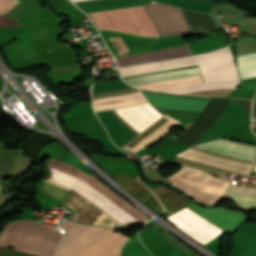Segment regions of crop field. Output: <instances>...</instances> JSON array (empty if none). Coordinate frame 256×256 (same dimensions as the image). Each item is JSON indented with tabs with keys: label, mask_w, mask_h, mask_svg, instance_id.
Here are the masks:
<instances>
[{
	"label": "crop field",
	"mask_w": 256,
	"mask_h": 256,
	"mask_svg": "<svg viewBox=\"0 0 256 256\" xmlns=\"http://www.w3.org/2000/svg\"><path fill=\"white\" fill-rule=\"evenodd\" d=\"M48 169L50 176L45 181L69 191L77 169L71 165L52 159L48 162ZM47 182H43L38 189L68 206L74 214L72 221L77 223L114 227H118L117 225H119L122 227L131 222L145 221L148 219L147 216L111 192L112 190L107 189L108 187L103 186L94 176L87 179L82 185L80 184L81 186L79 185L80 187L74 192L117 225L76 194Z\"/></svg>",
	"instance_id": "1"
},
{
	"label": "crop field",
	"mask_w": 256,
	"mask_h": 256,
	"mask_svg": "<svg viewBox=\"0 0 256 256\" xmlns=\"http://www.w3.org/2000/svg\"><path fill=\"white\" fill-rule=\"evenodd\" d=\"M61 239V234L55 229L29 220H18L3 230L0 246L37 256H55ZM13 250L0 248V256H33Z\"/></svg>",
	"instance_id": "2"
},
{
	"label": "crop field",
	"mask_w": 256,
	"mask_h": 256,
	"mask_svg": "<svg viewBox=\"0 0 256 256\" xmlns=\"http://www.w3.org/2000/svg\"><path fill=\"white\" fill-rule=\"evenodd\" d=\"M201 75L198 67L169 71L151 75H144L132 78L124 79L127 83L137 86L161 81H168L192 76ZM239 81L233 82H221V83H200L182 87H175L163 90H157L161 92L177 93V94H189V95H222L230 93L238 87Z\"/></svg>",
	"instance_id": "3"
},
{
	"label": "crop field",
	"mask_w": 256,
	"mask_h": 256,
	"mask_svg": "<svg viewBox=\"0 0 256 256\" xmlns=\"http://www.w3.org/2000/svg\"><path fill=\"white\" fill-rule=\"evenodd\" d=\"M204 82L240 80L229 46L194 55Z\"/></svg>",
	"instance_id": "4"
},
{
	"label": "crop field",
	"mask_w": 256,
	"mask_h": 256,
	"mask_svg": "<svg viewBox=\"0 0 256 256\" xmlns=\"http://www.w3.org/2000/svg\"><path fill=\"white\" fill-rule=\"evenodd\" d=\"M67 233L63 234L61 246L57 256H76L90 244L111 234L115 229L76 225L63 221L59 224Z\"/></svg>",
	"instance_id": "5"
},
{
	"label": "crop field",
	"mask_w": 256,
	"mask_h": 256,
	"mask_svg": "<svg viewBox=\"0 0 256 256\" xmlns=\"http://www.w3.org/2000/svg\"><path fill=\"white\" fill-rule=\"evenodd\" d=\"M166 219L202 245L223 231L187 207Z\"/></svg>",
	"instance_id": "6"
},
{
	"label": "crop field",
	"mask_w": 256,
	"mask_h": 256,
	"mask_svg": "<svg viewBox=\"0 0 256 256\" xmlns=\"http://www.w3.org/2000/svg\"><path fill=\"white\" fill-rule=\"evenodd\" d=\"M154 21L159 34L191 32L180 9L156 3L144 6Z\"/></svg>",
	"instance_id": "7"
},
{
	"label": "crop field",
	"mask_w": 256,
	"mask_h": 256,
	"mask_svg": "<svg viewBox=\"0 0 256 256\" xmlns=\"http://www.w3.org/2000/svg\"><path fill=\"white\" fill-rule=\"evenodd\" d=\"M218 140L198 144L191 147L190 149H194V150H198V151H202V152H206V153H210V154H214V155H218V156H222V157H226V158H230V159H234V160H238V161H242L250 164L252 163V159L255 151V149L253 148L255 147L249 146V147H253V148H249V147H244L248 145L240 146L243 144L235 145L238 143L231 144L233 142L226 143L229 141L222 142L224 140L222 141H218Z\"/></svg>",
	"instance_id": "8"
},
{
	"label": "crop field",
	"mask_w": 256,
	"mask_h": 256,
	"mask_svg": "<svg viewBox=\"0 0 256 256\" xmlns=\"http://www.w3.org/2000/svg\"><path fill=\"white\" fill-rule=\"evenodd\" d=\"M179 121L165 115L147 130L129 142L124 148L132 150L134 152L138 151L140 148L154 142L163 135H165L171 128H173Z\"/></svg>",
	"instance_id": "9"
},
{
	"label": "crop field",
	"mask_w": 256,
	"mask_h": 256,
	"mask_svg": "<svg viewBox=\"0 0 256 256\" xmlns=\"http://www.w3.org/2000/svg\"><path fill=\"white\" fill-rule=\"evenodd\" d=\"M128 237L115 232L92 244L77 256H120V249Z\"/></svg>",
	"instance_id": "10"
},
{
	"label": "crop field",
	"mask_w": 256,
	"mask_h": 256,
	"mask_svg": "<svg viewBox=\"0 0 256 256\" xmlns=\"http://www.w3.org/2000/svg\"><path fill=\"white\" fill-rule=\"evenodd\" d=\"M192 56L119 68L121 77L195 65Z\"/></svg>",
	"instance_id": "11"
},
{
	"label": "crop field",
	"mask_w": 256,
	"mask_h": 256,
	"mask_svg": "<svg viewBox=\"0 0 256 256\" xmlns=\"http://www.w3.org/2000/svg\"><path fill=\"white\" fill-rule=\"evenodd\" d=\"M119 183H121L125 188L132 192L135 196L149 205L151 208L157 212H162V207L156 198L150 193L149 190L145 188L144 185L140 184L137 178H128L117 173L114 177Z\"/></svg>",
	"instance_id": "12"
},
{
	"label": "crop field",
	"mask_w": 256,
	"mask_h": 256,
	"mask_svg": "<svg viewBox=\"0 0 256 256\" xmlns=\"http://www.w3.org/2000/svg\"><path fill=\"white\" fill-rule=\"evenodd\" d=\"M145 96L156 107H162V108L202 111L208 104V102L172 100V99L153 97L149 95H145Z\"/></svg>",
	"instance_id": "13"
},
{
	"label": "crop field",
	"mask_w": 256,
	"mask_h": 256,
	"mask_svg": "<svg viewBox=\"0 0 256 256\" xmlns=\"http://www.w3.org/2000/svg\"><path fill=\"white\" fill-rule=\"evenodd\" d=\"M151 190L154 192V194L161 202V204L164 206V208L168 210L170 213L190 203L182 196L172 191H169L163 187L152 188Z\"/></svg>",
	"instance_id": "14"
},
{
	"label": "crop field",
	"mask_w": 256,
	"mask_h": 256,
	"mask_svg": "<svg viewBox=\"0 0 256 256\" xmlns=\"http://www.w3.org/2000/svg\"><path fill=\"white\" fill-rule=\"evenodd\" d=\"M225 195L256 198V189L235 187L230 185ZM229 196H224V197H229ZM239 197H230V198L234 199L241 206L256 208V199L239 198Z\"/></svg>",
	"instance_id": "15"
},
{
	"label": "crop field",
	"mask_w": 256,
	"mask_h": 256,
	"mask_svg": "<svg viewBox=\"0 0 256 256\" xmlns=\"http://www.w3.org/2000/svg\"><path fill=\"white\" fill-rule=\"evenodd\" d=\"M20 151L0 149V178L12 174Z\"/></svg>",
	"instance_id": "16"
},
{
	"label": "crop field",
	"mask_w": 256,
	"mask_h": 256,
	"mask_svg": "<svg viewBox=\"0 0 256 256\" xmlns=\"http://www.w3.org/2000/svg\"><path fill=\"white\" fill-rule=\"evenodd\" d=\"M241 79L256 77V53L237 57Z\"/></svg>",
	"instance_id": "17"
},
{
	"label": "crop field",
	"mask_w": 256,
	"mask_h": 256,
	"mask_svg": "<svg viewBox=\"0 0 256 256\" xmlns=\"http://www.w3.org/2000/svg\"><path fill=\"white\" fill-rule=\"evenodd\" d=\"M109 40L118 52V54H123L129 51L121 37L109 38Z\"/></svg>",
	"instance_id": "18"
},
{
	"label": "crop field",
	"mask_w": 256,
	"mask_h": 256,
	"mask_svg": "<svg viewBox=\"0 0 256 256\" xmlns=\"http://www.w3.org/2000/svg\"><path fill=\"white\" fill-rule=\"evenodd\" d=\"M16 3H18V0H0V14H5Z\"/></svg>",
	"instance_id": "19"
},
{
	"label": "crop field",
	"mask_w": 256,
	"mask_h": 256,
	"mask_svg": "<svg viewBox=\"0 0 256 256\" xmlns=\"http://www.w3.org/2000/svg\"><path fill=\"white\" fill-rule=\"evenodd\" d=\"M72 2H76V1H82V0H71Z\"/></svg>",
	"instance_id": "20"
}]
</instances>
